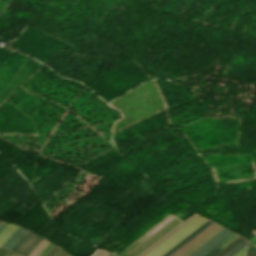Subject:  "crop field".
<instances>
[{"mask_svg": "<svg viewBox=\"0 0 256 256\" xmlns=\"http://www.w3.org/2000/svg\"><path fill=\"white\" fill-rule=\"evenodd\" d=\"M203 222L205 220L196 216L144 256H161Z\"/></svg>", "mask_w": 256, "mask_h": 256, "instance_id": "1", "label": "crop field"}, {"mask_svg": "<svg viewBox=\"0 0 256 256\" xmlns=\"http://www.w3.org/2000/svg\"><path fill=\"white\" fill-rule=\"evenodd\" d=\"M234 233L235 232L224 227L188 256H205Z\"/></svg>", "mask_w": 256, "mask_h": 256, "instance_id": "2", "label": "crop field"}, {"mask_svg": "<svg viewBox=\"0 0 256 256\" xmlns=\"http://www.w3.org/2000/svg\"><path fill=\"white\" fill-rule=\"evenodd\" d=\"M42 240V238L37 237L27 231L24 236L15 244L12 250L22 255L29 256Z\"/></svg>", "mask_w": 256, "mask_h": 256, "instance_id": "3", "label": "crop field"}, {"mask_svg": "<svg viewBox=\"0 0 256 256\" xmlns=\"http://www.w3.org/2000/svg\"><path fill=\"white\" fill-rule=\"evenodd\" d=\"M212 221L208 220L203 225H201L198 229H196L194 232H192L190 235H188L185 239H183L181 242H179L176 246H174L172 249H170L167 253H165L163 256H170L173 252H175L177 249H179L182 245H184L187 241H189L191 238H193L196 234H198L201 230H203L205 227H207Z\"/></svg>", "mask_w": 256, "mask_h": 256, "instance_id": "4", "label": "crop field"}, {"mask_svg": "<svg viewBox=\"0 0 256 256\" xmlns=\"http://www.w3.org/2000/svg\"><path fill=\"white\" fill-rule=\"evenodd\" d=\"M214 227H216V225H214V224L209 226L207 229H205L203 232H201L199 235H197L194 239H192L190 242H188L186 245H184L181 249H179L177 252H175L171 256H178V255H180L182 252H184L187 248H189L192 244H194L196 241H198L201 237H203L205 234H207Z\"/></svg>", "mask_w": 256, "mask_h": 256, "instance_id": "5", "label": "crop field"}, {"mask_svg": "<svg viewBox=\"0 0 256 256\" xmlns=\"http://www.w3.org/2000/svg\"><path fill=\"white\" fill-rule=\"evenodd\" d=\"M26 230L17 228L11 237L3 244L4 247L11 249L14 244L23 236Z\"/></svg>", "mask_w": 256, "mask_h": 256, "instance_id": "6", "label": "crop field"}, {"mask_svg": "<svg viewBox=\"0 0 256 256\" xmlns=\"http://www.w3.org/2000/svg\"><path fill=\"white\" fill-rule=\"evenodd\" d=\"M223 226L219 225L214 230H212L210 233H208L205 237H203L201 240H199L197 243H195L192 247H190L188 250H186L183 254L180 256H187L189 253H191L194 249H196L198 246H200L203 242H205L207 239H209L212 235H214L217 231H219ZM218 233V232H217Z\"/></svg>", "mask_w": 256, "mask_h": 256, "instance_id": "7", "label": "crop field"}, {"mask_svg": "<svg viewBox=\"0 0 256 256\" xmlns=\"http://www.w3.org/2000/svg\"><path fill=\"white\" fill-rule=\"evenodd\" d=\"M17 226L9 224L1 233H0V245H2L9 236L15 231Z\"/></svg>", "mask_w": 256, "mask_h": 256, "instance_id": "8", "label": "crop field"}, {"mask_svg": "<svg viewBox=\"0 0 256 256\" xmlns=\"http://www.w3.org/2000/svg\"><path fill=\"white\" fill-rule=\"evenodd\" d=\"M244 240L245 239L240 236L215 256H224L226 253H228L230 250H232L234 247H236L238 244H240Z\"/></svg>", "mask_w": 256, "mask_h": 256, "instance_id": "9", "label": "crop field"}, {"mask_svg": "<svg viewBox=\"0 0 256 256\" xmlns=\"http://www.w3.org/2000/svg\"><path fill=\"white\" fill-rule=\"evenodd\" d=\"M247 245V241L245 240L242 242L240 245H238L236 248H234L232 251H230L228 254L225 256H233L235 255L238 251H240L242 248H244Z\"/></svg>", "mask_w": 256, "mask_h": 256, "instance_id": "10", "label": "crop field"}, {"mask_svg": "<svg viewBox=\"0 0 256 256\" xmlns=\"http://www.w3.org/2000/svg\"><path fill=\"white\" fill-rule=\"evenodd\" d=\"M178 228H180V226H178L177 228H175L172 232H170L168 235H166L165 237H163L162 239H160L158 242H156L154 245H152L149 249H147L145 252H143L140 256H143L144 254H146L148 251H150L153 247H155L157 244H159L161 241H163L166 237H168L170 234H172L174 231H176Z\"/></svg>", "mask_w": 256, "mask_h": 256, "instance_id": "11", "label": "crop field"}, {"mask_svg": "<svg viewBox=\"0 0 256 256\" xmlns=\"http://www.w3.org/2000/svg\"><path fill=\"white\" fill-rule=\"evenodd\" d=\"M46 240L44 239L42 242H41V244L33 251V253L30 255V256H32L36 251H37V249L45 242ZM48 243V241H46L40 248H39V250L33 255V256H37L40 252H41V250L46 246V244Z\"/></svg>", "mask_w": 256, "mask_h": 256, "instance_id": "12", "label": "crop field"}, {"mask_svg": "<svg viewBox=\"0 0 256 256\" xmlns=\"http://www.w3.org/2000/svg\"><path fill=\"white\" fill-rule=\"evenodd\" d=\"M53 246L54 244L49 243L38 256H45Z\"/></svg>", "mask_w": 256, "mask_h": 256, "instance_id": "13", "label": "crop field"}, {"mask_svg": "<svg viewBox=\"0 0 256 256\" xmlns=\"http://www.w3.org/2000/svg\"><path fill=\"white\" fill-rule=\"evenodd\" d=\"M222 249L223 248L218 246L216 249H214L212 252H210L207 256H214L216 253H218Z\"/></svg>", "mask_w": 256, "mask_h": 256, "instance_id": "14", "label": "crop field"}, {"mask_svg": "<svg viewBox=\"0 0 256 256\" xmlns=\"http://www.w3.org/2000/svg\"><path fill=\"white\" fill-rule=\"evenodd\" d=\"M245 254V248L242 249L240 252H238L235 256H244Z\"/></svg>", "mask_w": 256, "mask_h": 256, "instance_id": "15", "label": "crop field"}, {"mask_svg": "<svg viewBox=\"0 0 256 256\" xmlns=\"http://www.w3.org/2000/svg\"><path fill=\"white\" fill-rule=\"evenodd\" d=\"M8 223H6V222H2L1 224H0V232L4 229V227L7 225Z\"/></svg>", "mask_w": 256, "mask_h": 256, "instance_id": "16", "label": "crop field"}, {"mask_svg": "<svg viewBox=\"0 0 256 256\" xmlns=\"http://www.w3.org/2000/svg\"><path fill=\"white\" fill-rule=\"evenodd\" d=\"M248 249L253 251V252H256V247H254L253 245L249 244L248 246Z\"/></svg>", "mask_w": 256, "mask_h": 256, "instance_id": "17", "label": "crop field"}, {"mask_svg": "<svg viewBox=\"0 0 256 256\" xmlns=\"http://www.w3.org/2000/svg\"><path fill=\"white\" fill-rule=\"evenodd\" d=\"M104 253V251L100 250L97 251L95 254H93L92 256H101Z\"/></svg>", "mask_w": 256, "mask_h": 256, "instance_id": "18", "label": "crop field"}, {"mask_svg": "<svg viewBox=\"0 0 256 256\" xmlns=\"http://www.w3.org/2000/svg\"><path fill=\"white\" fill-rule=\"evenodd\" d=\"M246 256H256V254L247 250L246 251Z\"/></svg>", "mask_w": 256, "mask_h": 256, "instance_id": "19", "label": "crop field"}, {"mask_svg": "<svg viewBox=\"0 0 256 256\" xmlns=\"http://www.w3.org/2000/svg\"><path fill=\"white\" fill-rule=\"evenodd\" d=\"M60 248H56L55 251L50 255V256H53Z\"/></svg>", "mask_w": 256, "mask_h": 256, "instance_id": "20", "label": "crop field"}, {"mask_svg": "<svg viewBox=\"0 0 256 256\" xmlns=\"http://www.w3.org/2000/svg\"><path fill=\"white\" fill-rule=\"evenodd\" d=\"M14 255H15V253L10 252V253L7 254L6 256H14Z\"/></svg>", "mask_w": 256, "mask_h": 256, "instance_id": "21", "label": "crop field"}, {"mask_svg": "<svg viewBox=\"0 0 256 256\" xmlns=\"http://www.w3.org/2000/svg\"><path fill=\"white\" fill-rule=\"evenodd\" d=\"M108 255H109V254L105 252L102 256H108Z\"/></svg>", "mask_w": 256, "mask_h": 256, "instance_id": "22", "label": "crop field"}, {"mask_svg": "<svg viewBox=\"0 0 256 256\" xmlns=\"http://www.w3.org/2000/svg\"><path fill=\"white\" fill-rule=\"evenodd\" d=\"M15 256H21V255L16 254Z\"/></svg>", "mask_w": 256, "mask_h": 256, "instance_id": "23", "label": "crop field"}, {"mask_svg": "<svg viewBox=\"0 0 256 256\" xmlns=\"http://www.w3.org/2000/svg\"><path fill=\"white\" fill-rule=\"evenodd\" d=\"M69 256V255H68Z\"/></svg>", "mask_w": 256, "mask_h": 256, "instance_id": "24", "label": "crop field"}]
</instances>
